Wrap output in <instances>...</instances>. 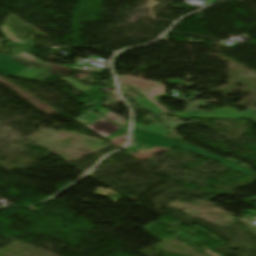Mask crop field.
Listing matches in <instances>:
<instances>
[{
    "label": "crop field",
    "mask_w": 256,
    "mask_h": 256,
    "mask_svg": "<svg viewBox=\"0 0 256 256\" xmlns=\"http://www.w3.org/2000/svg\"><path fill=\"white\" fill-rule=\"evenodd\" d=\"M8 46H12L15 47L17 50H15L14 52L16 53V55L14 56H1L0 55V61L3 59H6L14 64H17L23 68L27 67L28 65H30L31 63H33L34 61H36L37 59L33 58L32 56L28 55L30 50L29 48H27L25 45L23 44H19V43H14ZM108 119L118 123V124H122V125H127L129 126V121L126 119H123L119 116H116L112 113H110Z\"/></svg>",
    "instance_id": "crop-field-1"
},
{
    "label": "crop field",
    "mask_w": 256,
    "mask_h": 256,
    "mask_svg": "<svg viewBox=\"0 0 256 256\" xmlns=\"http://www.w3.org/2000/svg\"><path fill=\"white\" fill-rule=\"evenodd\" d=\"M92 113L93 111H89L85 114V116L89 117L90 119H85L84 117L81 116L80 118L76 119V121L85 125L92 131L100 134L104 138L107 137L109 134L114 133L119 128H121L113 124L109 120L103 118L102 116H95ZM93 119H97V121Z\"/></svg>",
    "instance_id": "crop-field-2"
},
{
    "label": "crop field",
    "mask_w": 256,
    "mask_h": 256,
    "mask_svg": "<svg viewBox=\"0 0 256 256\" xmlns=\"http://www.w3.org/2000/svg\"><path fill=\"white\" fill-rule=\"evenodd\" d=\"M180 148H184V149H187L189 151H192V152H195L197 154H200V155H203L205 157H208V158H210L212 160H215L217 162H220V163L224 164L228 168L238 170V171H240V172H242L244 174H253L252 170H249L247 168L239 166V165H237V164H235V163H233V162H231L229 160L223 159L221 157H217V156H213L211 154H208V153L204 152L202 149H198V148H196L194 146L184 144V145L180 146Z\"/></svg>",
    "instance_id": "crop-field-3"
},
{
    "label": "crop field",
    "mask_w": 256,
    "mask_h": 256,
    "mask_svg": "<svg viewBox=\"0 0 256 256\" xmlns=\"http://www.w3.org/2000/svg\"><path fill=\"white\" fill-rule=\"evenodd\" d=\"M136 134H139V135H142V136H145V137L157 140V141L158 140L164 141V142H167V143H170V144H174V145H177V144L180 143V142H176V141H173V140L165 139V138H162V137H158V136L147 134V133L140 132V131H137Z\"/></svg>",
    "instance_id": "crop-field-4"
},
{
    "label": "crop field",
    "mask_w": 256,
    "mask_h": 256,
    "mask_svg": "<svg viewBox=\"0 0 256 256\" xmlns=\"http://www.w3.org/2000/svg\"><path fill=\"white\" fill-rule=\"evenodd\" d=\"M108 193H110V194H112V195H114V196H116V197H118V198L115 199V198H113V197L107 195ZM94 194L100 195V196H108V197L111 198L112 201H114V202H116V203H117V200L121 199V198H119L120 196H118V195H116L115 193H113L112 191H110V190H108V189H104V188H102V187L96 189V191H95Z\"/></svg>",
    "instance_id": "crop-field-5"
},
{
    "label": "crop field",
    "mask_w": 256,
    "mask_h": 256,
    "mask_svg": "<svg viewBox=\"0 0 256 256\" xmlns=\"http://www.w3.org/2000/svg\"><path fill=\"white\" fill-rule=\"evenodd\" d=\"M129 88H133V89H135V90H137V91H140L138 88H136L135 86H130ZM152 89L154 90V92H155V94L156 95H159V94H165V88H164V86H162V85H157L156 87H152ZM152 90V91H153ZM153 92V93H154ZM154 94V95H155Z\"/></svg>",
    "instance_id": "crop-field-6"
},
{
    "label": "crop field",
    "mask_w": 256,
    "mask_h": 256,
    "mask_svg": "<svg viewBox=\"0 0 256 256\" xmlns=\"http://www.w3.org/2000/svg\"><path fill=\"white\" fill-rule=\"evenodd\" d=\"M2 30L7 34L8 38L11 40H18L24 42V40H19L10 30L8 26H2ZM5 34V35H6Z\"/></svg>",
    "instance_id": "crop-field-7"
},
{
    "label": "crop field",
    "mask_w": 256,
    "mask_h": 256,
    "mask_svg": "<svg viewBox=\"0 0 256 256\" xmlns=\"http://www.w3.org/2000/svg\"><path fill=\"white\" fill-rule=\"evenodd\" d=\"M168 82H172V83H177V84H181L182 83V81H180V80H177V79H175V80H173V81H170V80H167Z\"/></svg>",
    "instance_id": "crop-field-8"
}]
</instances>
